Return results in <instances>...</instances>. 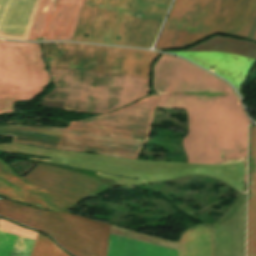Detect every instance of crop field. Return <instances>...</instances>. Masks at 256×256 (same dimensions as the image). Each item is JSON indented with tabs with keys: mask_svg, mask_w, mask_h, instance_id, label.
Segmentation results:
<instances>
[{
	"mask_svg": "<svg viewBox=\"0 0 256 256\" xmlns=\"http://www.w3.org/2000/svg\"><path fill=\"white\" fill-rule=\"evenodd\" d=\"M0 222L37 234L7 221ZM3 223H0V256H29L36 236Z\"/></svg>",
	"mask_w": 256,
	"mask_h": 256,
	"instance_id": "obj_1",
	"label": "crop field"
},
{
	"mask_svg": "<svg viewBox=\"0 0 256 256\" xmlns=\"http://www.w3.org/2000/svg\"><path fill=\"white\" fill-rule=\"evenodd\" d=\"M30 256H69L47 238L37 235L36 242L33 246Z\"/></svg>",
	"mask_w": 256,
	"mask_h": 256,
	"instance_id": "obj_2",
	"label": "crop field"
}]
</instances>
